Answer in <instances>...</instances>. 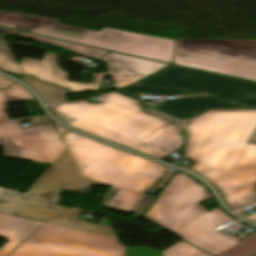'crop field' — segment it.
I'll return each mask as SVG.
<instances>
[{
    "label": "crop field",
    "instance_id": "crop-field-26",
    "mask_svg": "<svg viewBox=\"0 0 256 256\" xmlns=\"http://www.w3.org/2000/svg\"><path fill=\"white\" fill-rule=\"evenodd\" d=\"M144 114H147V115H149V116L155 117V118L160 119V120H163V121H165V122L175 121V119H173V118H170V117L165 116V115H163V114L157 113V112L152 111V110H150V109H147V110L144 112Z\"/></svg>",
    "mask_w": 256,
    "mask_h": 256
},
{
    "label": "crop field",
    "instance_id": "crop-field-30",
    "mask_svg": "<svg viewBox=\"0 0 256 256\" xmlns=\"http://www.w3.org/2000/svg\"><path fill=\"white\" fill-rule=\"evenodd\" d=\"M3 190V188H0V192Z\"/></svg>",
    "mask_w": 256,
    "mask_h": 256
},
{
    "label": "crop field",
    "instance_id": "crop-field-23",
    "mask_svg": "<svg viewBox=\"0 0 256 256\" xmlns=\"http://www.w3.org/2000/svg\"><path fill=\"white\" fill-rule=\"evenodd\" d=\"M0 68L7 72L24 75L8 45L0 50Z\"/></svg>",
    "mask_w": 256,
    "mask_h": 256
},
{
    "label": "crop field",
    "instance_id": "crop-field-4",
    "mask_svg": "<svg viewBox=\"0 0 256 256\" xmlns=\"http://www.w3.org/2000/svg\"><path fill=\"white\" fill-rule=\"evenodd\" d=\"M11 87V86H10ZM34 99L27 90L15 83L0 90V145L4 156L51 164L66 148L46 116L34 117L31 128L20 129V122L10 121L5 113V102Z\"/></svg>",
    "mask_w": 256,
    "mask_h": 256
},
{
    "label": "crop field",
    "instance_id": "crop-field-15",
    "mask_svg": "<svg viewBox=\"0 0 256 256\" xmlns=\"http://www.w3.org/2000/svg\"><path fill=\"white\" fill-rule=\"evenodd\" d=\"M215 99V97H202L164 100V103L159 106L158 111L182 119L197 115L208 108L256 107V105L235 106Z\"/></svg>",
    "mask_w": 256,
    "mask_h": 256
},
{
    "label": "crop field",
    "instance_id": "crop-field-13",
    "mask_svg": "<svg viewBox=\"0 0 256 256\" xmlns=\"http://www.w3.org/2000/svg\"><path fill=\"white\" fill-rule=\"evenodd\" d=\"M99 60L105 62L109 73L93 74L94 79L102 82L104 76L111 75L116 88L129 85L167 66V64L146 61L111 52H108Z\"/></svg>",
    "mask_w": 256,
    "mask_h": 256
},
{
    "label": "crop field",
    "instance_id": "crop-field-14",
    "mask_svg": "<svg viewBox=\"0 0 256 256\" xmlns=\"http://www.w3.org/2000/svg\"><path fill=\"white\" fill-rule=\"evenodd\" d=\"M57 56L46 53L41 61L23 58L19 63L24 74L37 77L41 81L54 83L72 93L85 90L97 92L101 82L95 81L94 84L67 81L69 74L60 70L57 65Z\"/></svg>",
    "mask_w": 256,
    "mask_h": 256
},
{
    "label": "crop field",
    "instance_id": "crop-field-8",
    "mask_svg": "<svg viewBox=\"0 0 256 256\" xmlns=\"http://www.w3.org/2000/svg\"><path fill=\"white\" fill-rule=\"evenodd\" d=\"M28 32L171 63L175 41L103 28L100 32L53 23Z\"/></svg>",
    "mask_w": 256,
    "mask_h": 256
},
{
    "label": "crop field",
    "instance_id": "crop-field-25",
    "mask_svg": "<svg viewBox=\"0 0 256 256\" xmlns=\"http://www.w3.org/2000/svg\"><path fill=\"white\" fill-rule=\"evenodd\" d=\"M153 200L154 198L145 196L143 200L138 204V206L132 212L136 213L135 216L143 215L144 211L147 209V207L151 204Z\"/></svg>",
    "mask_w": 256,
    "mask_h": 256
},
{
    "label": "crop field",
    "instance_id": "crop-field-3",
    "mask_svg": "<svg viewBox=\"0 0 256 256\" xmlns=\"http://www.w3.org/2000/svg\"><path fill=\"white\" fill-rule=\"evenodd\" d=\"M62 189L90 190L67 148L25 194L4 189L0 193V213L116 238L109 227L76 220L77 212L56 206Z\"/></svg>",
    "mask_w": 256,
    "mask_h": 256
},
{
    "label": "crop field",
    "instance_id": "crop-field-2",
    "mask_svg": "<svg viewBox=\"0 0 256 256\" xmlns=\"http://www.w3.org/2000/svg\"><path fill=\"white\" fill-rule=\"evenodd\" d=\"M58 134L89 186H112L103 197L105 209L130 212L149 189L158 187L169 167L107 146L59 126Z\"/></svg>",
    "mask_w": 256,
    "mask_h": 256
},
{
    "label": "crop field",
    "instance_id": "crop-field-7",
    "mask_svg": "<svg viewBox=\"0 0 256 256\" xmlns=\"http://www.w3.org/2000/svg\"><path fill=\"white\" fill-rule=\"evenodd\" d=\"M85 100L52 105L49 108L137 141L165 123L142 114L139 102L117 93L104 95L102 104L98 105H91Z\"/></svg>",
    "mask_w": 256,
    "mask_h": 256
},
{
    "label": "crop field",
    "instance_id": "crop-field-29",
    "mask_svg": "<svg viewBox=\"0 0 256 256\" xmlns=\"http://www.w3.org/2000/svg\"><path fill=\"white\" fill-rule=\"evenodd\" d=\"M0 32L12 34V33H15L16 31H12V30H7V29L0 28ZM2 44H3V42L0 40V46H1Z\"/></svg>",
    "mask_w": 256,
    "mask_h": 256
},
{
    "label": "crop field",
    "instance_id": "crop-field-11",
    "mask_svg": "<svg viewBox=\"0 0 256 256\" xmlns=\"http://www.w3.org/2000/svg\"><path fill=\"white\" fill-rule=\"evenodd\" d=\"M51 111L61 121L70 126L161 160L184 146L183 137L179 133L178 121L160 126L153 133L137 142L55 110Z\"/></svg>",
    "mask_w": 256,
    "mask_h": 256
},
{
    "label": "crop field",
    "instance_id": "crop-field-6",
    "mask_svg": "<svg viewBox=\"0 0 256 256\" xmlns=\"http://www.w3.org/2000/svg\"><path fill=\"white\" fill-rule=\"evenodd\" d=\"M119 239L43 223L6 256H124Z\"/></svg>",
    "mask_w": 256,
    "mask_h": 256
},
{
    "label": "crop field",
    "instance_id": "crop-field-9",
    "mask_svg": "<svg viewBox=\"0 0 256 256\" xmlns=\"http://www.w3.org/2000/svg\"><path fill=\"white\" fill-rule=\"evenodd\" d=\"M210 198L204 187L188 175L177 173L144 218L175 234L208 213L200 205Z\"/></svg>",
    "mask_w": 256,
    "mask_h": 256
},
{
    "label": "crop field",
    "instance_id": "crop-field-31",
    "mask_svg": "<svg viewBox=\"0 0 256 256\" xmlns=\"http://www.w3.org/2000/svg\"><path fill=\"white\" fill-rule=\"evenodd\" d=\"M256 256V255H255Z\"/></svg>",
    "mask_w": 256,
    "mask_h": 256
},
{
    "label": "crop field",
    "instance_id": "crop-field-5",
    "mask_svg": "<svg viewBox=\"0 0 256 256\" xmlns=\"http://www.w3.org/2000/svg\"><path fill=\"white\" fill-rule=\"evenodd\" d=\"M174 63L256 81V40L179 39Z\"/></svg>",
    "mask_w": 256,
    "mask_h": 256
},
{
    "label": "crop field",
    "instance_id": "crop-field-21",
    "mask_svg": "<svg viewBox=\"0 0 256 256\" xmlns=\"http://www.w3.org/2000/svg\"><path fill=\"white\" fill-rule=\"evenodd\" d=\"M256 254V233L218 256H253Z\"/></svg>",
    "mask_w": 256,
    "mask_h": 256
},
{
    "label": "crop field",
    "instance_id": "crop-field-19",
    "mask_svg": "<svg viewBox=\"0 0 256 256\" xmlns=\"http://www.w3.org/2000/svg\"><path fill=\"white\" fill-rule=\"evenodd\" d=\"M16 36L29 38V39H33V40H37V41H41V42H46V43H50V44H54V45H58V46H62V47L68 48L70 50H73L77 53H80L82 55H85L89 58H92L94 60L100 58L102 55L107 53L106 51H100V50H96V49H92V48H87V47H83V46H78V45H74V44L60 42V41L47 39V38H43V37H38V36H34V35H29V34H25V33H21V34H18Z\"/></svg>",
    "mask_w": 256,
    "mask_h": 256
},
{
    "label": "crop field",
    "instance_id": "crop-field-10",
    "mask_svg": "<svg viewBox=\"0 0 256 256\" xmlns=\"http://www.w3.org/2000/svg\"><path fill=\"white\" fill-rule=\"evenodd\" d=\"M137 85L184 88L188 92H209L217 100L235 105L256 104V84L172 66Z\"/></svg>",
    "mask_w": 256,
    "mask_h": 256
},
{
    "label": "crop field",
    "instance_id": "crop-field-27",
    "mask_svg": "<svg viewBox=\"0 0 256 256\" xmlns=\"http://www.w3.org/2000/svg\"><path fill=\"white\" fill-rule=\"evenodd\" d=\"M12 83L14 82L0 75V89L6 88Z\"/></svg>",
    "mask_w": 256,
    "mask_h": 256
},
{
    "label": "crop field",
    "instance_id": "crop-field-1",
    "mask_svg": "<svg viewBox=\"0 0 256 256\" xmlns=\"http://www.w3.org/2000/svg\"><path fill=\"white\" fill-rule=\"evenodd\" d=\"M188 168L221 194L230 210L256 202V110H211L182 121Z\"/></svg>",
    "mask_w": 256,
    "mask_h": 256
},
{
    "label": "crop field",
    "instance_id": "crop-field-22",
    "mask_svg": "<svg viewBox=\"0 0 256 256\" xmlns=\"http://www.w3.org/2000/svg\"><path fill=\"white\" fill-rule=\"evenodd\" d=\"M161 253L163 256H210L183 241Z\"/></svg>",
    "mask_w": 256,
    "mask_h": 256
},
{
    "label": "crop field",
    "instance_id": "crop-field-16",
    "mask_svg": "<svg viewBox=\"0 0 256 256\" xmlns=\"http://www.w3.org/2000/svg\"><path fill=\"white\" fill-rule=\"evenodd\" d=\"M41 224V222L0 214V236L10 240L0 249V256L9 253Z\"/></svg>",
    "mask_w": 256,
    "mask_h": 256
},
{
    "label": "crop field",
    "instance_id": "crop-field-24",
    "mask_svg": "<svg viewBox=\"0 0 256 256\" xmlns=\"http://www.w3.org/2000/svg\"><path fill=\"white\" fill-rule=\"evenodd\" d=\"M126 256H162L159 250L152 248L127 247Z\"/></svg>",
    "mask_w": 256,
    "mask_h": 256
},
{
    "label": "crop field",
    "instance_id": "crop-field-12",
    "mask_svg": "<svg viewBox=\"0 0 256 256\" xmlns=\"http://www.w3.org/2000/svg\"><path fill=\"white\" fill-rule=\"evenodd\" d=\"M229 220L231 218L218 207L175 235L216 256L240 242L212 230Z\"/></svg>",
    "mask_w": 256,
    "mask_h": 256
},
{
    "label": "crop field",
    "instance_id": "crop-field-17",
    "mask_svg": "<svg viewBox=\"0 0 256 256\" xmlns=\"http://www.w3.org/2000/svg\"><path fill=\"white\" fill-rule=\"evenodd\" d=\"M53 21L57 20L0 11V26L17 30H23L25 28L31 29Z\"/></svg>",
    "mask_w": 256,
    "mask_h": 256
},
{
    "label": "crop field",
    "instance_id": "crop-field-18",
    "mask_svg": "<svg viewBox=\"0 0 256 256\" xmlns=\"http://www.w3.org/2000/svg\"><path fill=\"white\" fill-rule=\"evenodd\" d=\"M20 80L32 86L42 96L46 104L65 101L64 95L70 94L54 85L40 83L31 76H25Z\"/></svg>",
    "mask_w": 256,
    "mask_h": 256
},
{
    "label": "crop field",
    "instance_id": "crop-field-28",
    "mask_svg": "<svg viewBox=\"0 0 256 256\" xmlns=\"http://www.w3.org/2000/svg\"><path fill=\"white\" fill-rule=\"evenodd\" d=\"M237 214H239V215H241V216H243V217H246V218H248V219H250V220L256 222V213H255L254 215L250 216V217H248V216H246V215H244V214H242V213H240V212H237Z\"/></svg>",
    "mask_w": 256,
    "mask_h": 256
},
{
    "label": "crop field",
    "instance_id": "crop-field-20",
    "mask_svg": "<svg viewBox=\"0 0 256 256\" xmlns=\"http://www.w3.org/2000/svg\"><path fill=\"white\" fill-rule=\"evenodd\" d=\"M117 91L135 99H138L137 92L152 94V95H188V93L183 92L182 90L151 88V87H143V86H137V85L123 88Z\"/></svg>",
    "mask_w": 256,
    "mask_h": 256
}]
</instances>
